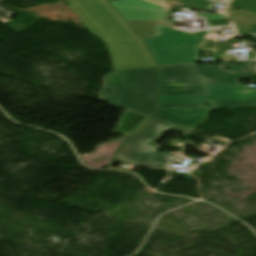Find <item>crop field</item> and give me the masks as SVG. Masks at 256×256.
<instances>
[{
    "label": "crop field",
    "instance_id": "1",
    "mask_svg": "<svg viewBox=\"0 0 256 256\" xmlns=\"http://www.w3.org/2000/svg\"><path fill=\"white\" fill-rule=\"evenodd\" d=\"M84 26L108 46L113 70L155 66L128 25L106 3L108 0H65Z\"/></svg>",
    "mask_w": 256,
    "mask_h": 256
},
{
    "label": "crop field",
    "instance_id": "2",
    "mask_svg": "<svg viewBox=\"0 0 256 256\" xmlns=\"http://www.w3.org/2000/svg\"><path fill=\"white\" fill-rule=\"evenodd\" d=\"M101 80L100 101L150 116L159 93L157 68L111 72Z\"/></svg>",
    "mask_w": 256,
    "mask_h": 256
},
{
    "label": "crop field",
    "instance_id": "3",
    "mask_svg": "<svg viewBox=\"0 0 256 256\" xmlns=\"http://www.w3.org/2000/svg\"><path fill=\"white\" fill-rule=\"evenodd\" d=\"M123 19L141 37L155 36V23L173 27L166 17L171 6H190L195 10L212 11L214 2L206 0H119L110 2Z\"/></svg>",
    "mask_w": 256,
    "mask_h": 256
},
{
    "label": "crop field",
    "instance_id": "4",
    "mask_svg": "<svg viewBox=\"0 0 256 256\" xmlns=\"http://www.w3.org/2000/svg\"><path fill=\"white\" fill-rule=\"evenodd\" d=\"M169 129L184 134L193 130L151 118L129 137L116 158L124 160L128 165L168 170L177 156L154 152L158 146L150 142Z\"/></svg>",
    "mask_w": 256,
    "mask_h": 256
},
{
    "label": "crop field",
    "instance_id": "5",
    "mask_svg": "<svg viewBox=\"0 0 256 256\" xmlns=\"http://www.w3.org/2000/svg\"><path fill=\"white\" fill-rule=\"evenodd\" d=\"M221 64L208 67L204 64L189 65L201 79L161 78L163 91L161 95H207L203 84H238L236 80L256 77L255 61H240L235 64ZM229 67L230 72L222 69ZM197 92H201L197 94Z\"/></svg>",
    "mask_w": 256,
    "mask_h": 256
},
{
    "label": "crop field",
    "instance_id": "6",
    "mask_svg": "<svg viewBox=\"0 0 256 256\" xmlns=\"http://www.w3.org/2000/svg\"><path fill=\"white\" fill-rule=\"evenodd\" d=\"M202 37L156 24V36L143 39L157 66L201 61L196 50Z\"/></svg>",
    "mask_w": 256,
    "mask_h": 256
},
{
    "label": "crop field",
    "instance_id": "7",
    "mask_svg": "<svg viewBox=\"0 0 256 256\" xmlns=\"http://www.w3.org/2000/svg\"><path fill=\"white\" fill-rule=\"evenodd\" d=\"M206 105H158L154 117L165 119L191 128L207 119L210 111L220 108H256V100L205 101ZM204 108L205 110H201Z\"/></svg>",
    "mask_w": 256,
    "mask_h": 256
},
{
    "label": "crop field",
    "instance_id": "8",
    "mask_svg": "<svg viewBox=\"0 0 256 256\" xmlns=\"http://www.w3.org/2000/svg\"><path fill=\"white\" fill-rule=\"evenodd\" d=\"M208 96H161L158 104H204L203 100L256 99V89L246 85H204Z\"/></svg>",
    "mask_w": 256,
    "mask_h": 256
},
{
    "label": "crop field",
    "instance_id": "9",
    "mask_svg": "<svg viewBox=\"0 0 256 256\" xmlns=\"http://www.w3.org/2000/svg\"><path fill=\"white\" fill-rule=\"evenodd\" d=\"M226 14L235 24L238 34H253L250 24H256V15L228 7Z\"/></svg>",
    "mask_w": 256,
    "mask_h": 256
},
{
    "label": "crop field",
    "instance_id": "10",
    "mask_svg": "<svg viewBox=\"0 0 256 256\" xmlns=\"http://www.w3.org/2000/svg\"><path fill=\"white\" fill-rule=\"evenodd\" d=\"M147 118L149 117L127 110L121 118L122 124L119 125L115 132L129 135Z\"/></svg>",
    "mask_w": 256,
    "mask_h": 256
},
{
    "label": "crop field",
    "instance_id": "11",
    "mask_svg": "<svg viewBox=\"0 0 256 256\" xmlns=\"http://www.w3.org/2000/svg\"><path fill=\"white\" fill-rule=\"evenodd\" d=\"M161 77L199 78L188 65L159 68Z\"/></svg>",
    "mask_w": 256,
    "mask_h": 256
},
{
    "label": "crop field",
    "instance_id": "12",
    "mask_svg": "<svg viewBox=\"0 0 256 256\" xmlns=\"http://www.w3.org/2000/svg\"><path fill=\"white\" fill-rule=\"evenodd\" d=\"M230 6L256 13V0H231Z\"/></svg>",
    "mask_w": 256,
    "mask_h": 256
},
{
    "label": "crop field",
    "instance_id": "13",
    "mask_svg": "<svg viewBox=\"0 0 256 256\" xmlns=\"http://www.w3.org/2000/svg\"><path fill=\"white\" fill-rule=\"evenodd\" d=\"M211 27L231 25L224 14H208Z\"/></svg>",
    "mask_w": 256,
    "mask_h": 256
},
{
    "label": "crop field",
    "instance_id": "14",
    "mask_svg": "<svg viewBox=\"0 0 256 256\" xmlns=\"http://www.w3.org/2000/svg\"><path fill=\"white\" fill-rule=\"evenodd\" d=\"M15 14L14 12L10 11L9 9L5 8L4 6L0 5V22L6 24L11 22L10 17Z\"/></svg>",
    "mask_w": 256,
    "mask_h": 256
},
{
    "label": "crop field",
    "instance_id": "15",
    "mask_svg": "<svg viewBox=\"0 0 256 256\" xmlns=\"http://www.w3.org/2000/svg\"><path fill=\"white\" fill-rule=\"evenodd\" d=\"M221 4H227L228 0H210Z\"/></svg>",
    "mask_w": 256,
    "mask_h": 256
},
{
    "label": "crop field",
    "instance_id": "16",
    "mask_svg": "<svg viewBox=\"0 0 256 256\" xmlns=\"http://www.w3.org/2000/svg\"><path fill=\"white\" fill-rule=\"evenodd\" d=\"M252 38L256 40V36H252Z\"/></svg>",
    "mask_w": 256,
    "mask_h": 256
}]
</instances>
